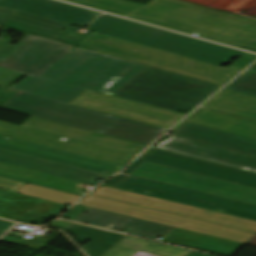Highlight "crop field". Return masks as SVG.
<instances>
[{"instance_id": "obj_1", "label": "crop field", "mask_w": 256, "mask_h": 256, "mask_svg": "<svg viewBox=\"0 0 256 256\" xmlns=\"http://www.w3.org/2000/svg\"><path fill=\"white\" fill-rule=\"evenodd\" d=\"M45 40L0 41V67L29 74L1 108L149 145L166 129L68 105L87 89L115 94L147 66Z\"/></svg>"}, {"instance_id": "obj_2", "label": "crop field", "mask_w": 256, "mask_h": 256, "mask_svg": "<svg viewBox=\"0 0 256 256\" xmlns=\"http://www.w3.org/2000/svg\"><path fill=\"white\" fill-rule=\"evenodd\" d=\"M186 34L256 51V21L184 0H66Z\"/></svg>"}, {"instance_id": "obj_3", "label": "crop field", "mask_w": 256, "mask_h": 256, "mask_svg": "<svg viewBox=\"0 0 256 256\" xmlns=\"http://www.w3.org/2000/svg\"><path fill=\"white\" fill-rule=\"evenodd\" d=\"M220 86L148 67L114 96L171 110L195 108Z\"/></svg>"}, {"instance_id": "obj_4", "label": "crop field", "mask_w": 256, "mask_h": 256, "mask_svg": "<svg viewBox=\"0 0 256 256\" xmlns=\"http://www.w3.org/2000/svg\"><path fill=\"white\" fill-rule=\"evenodd\" d=\"M87 30L152 46L217 65L226 64L235 55L242 56L245 54L244 52L106 15L98 18Z\"/></svg>"}, {"instance_id": "obj_5", "label": "crop field", "mask_w": 256, "mask_h": 256, "mask_svg": "<svg viewBox=\"0 0 256 256\" xmlns=\"http://www.w3.org/2000/svg\"><path fill=\"white\" fill-rule=\"evenodd\" d=\"M81 43L95 51L219 85L238 73L217 65L97 33H92Z\"/></svg>"}, {"instance_id": "obj_6", "label": "crop field", "mask_w": 256, "mask_h": 256, "mask_svg": "<svg viewBox=\"0 0 256 256\" xmlns=\"http://www.w3.org/2000/svg\"><path fill=\"white\" fill-rule=\"evenodd\" d=\"M78 205L126 215L166 226L179 227L246 244L255 234L186 219L90 195Z\"/></svg>"}, {"instance_id": "obj_7", "label": "crop field", "mask_w": 256, "mask_h": 256, "mask_svg": "<svg viewBox=\"0 0 256 256\" xmlns=\"http://www.w3.org/2000/svg\"><path fill=\"white\" fill-rule=\"evenodd\" d=\"M116 187L166 200L256 220L255 206L189 191L133 176H128ZM145 191H150V193H146ZM218 209H222V211H219Z\"/></svg>"}, {"instance_id": "obj_8", "label": "crop field", "mask_w": 256, "mask_h": 256, "mask_svg": "<svg viewBox=\"0 0 256 256\" xmlns=\"http://www.w3.org/2000/svg\"><path fill=\"white\" fill-rule=\"evenodd\" d=\"M92 195L256 234V221L137 195L103 186Z\"/></svg>"}, {"instance_id": "obj_9", "label": "crop field", "mask_w": 256, "mask_h": 256, "mask_svg": "<svg viewBox=\"0 0 256 256\" xmlns=\"http://www.w3.org/2000/svg\"><path fill=\"white\" fill-rule=\"evenodd\" d=\"M131 175L256 204V190L254 189L229 184L159 165L144 163Z\"/></svg>"}, {"instance_id": "obj_10", "label": "crop field", "mask_w": 256, "mask_h": 256, "mask_svg": "<svg viewBox=\"0 0 256 256\" xmlns=\"http://www.w3.org/2000/svg\"><path fill=\"white\" fill-rule=\"evenodd\" d=\"M123 173L130 175L144 162L160 164L256 189V174L150 147Z\"/></svg>"}, {"instance_id": "obj_11", "label": "crop field", "mask_w": 256, "mask_h": 256, "mask_svg": "<svg viewBox=\"0 0 256 256\" xmlns=\"http://www.w3.org/2000/svg\"><path fill=\"white\" fill-rule=\"evenodd\" d=\"M70 105L169 129L184 114L174 113L87 90Z\"/></svg>"}, {"instance_id": "obj_12", "label": "crop field", "mask_w": 256, "mask_h": 256, "mask_svg": "<svg viewBox=\"0 0 256 256\" xmlns=\"http://www.w3.org/2000/svg\"><path fill=\"white\" fill-rule=\"evenodd\" d=\"M0 135L13 137L44 146L68 151L71 153L95 158L98 160L118 164L124 166L131 161L135 156L83 144L77 141L68 139L67 141H61V137L5 124L0 122Z\"/></svg>"}, {"instance_id": "obj_13", "label": "crop field", "mask_w": 256, "mask_h": 256, "mask_svg": "<svg viewBox=\"0 0 256 256\" xmlns=\"http://www.w3.org/2000/svg\"><path fill=\"white\" fill-rule=\"evenodd\" d=\"M0 22H3V26L74 45L92 33L91 31L85 34L79 33L77 32L79 28L75 26L4 8H0ZM44 27L50 28L52 31L46 30Z\"/></svg>"}, {"instance_id": "obj_14", "label": "crop field", "mask_w": 256, "mask_h": 256, "mask_svg": "<svg viewBox=\"0 0 256 256\" xmlns=\"http://www.w3.org/2000/svg\"><path fill=\"white\" fill-rule=\"evenodd\" d=\"M0 148L109 176L122 168V166L98 161L95 159L71 154L68 152L44 147L41 145L17 139L7 140L3 136H0Z\"/></svg>"}, {"instance_id": "obj_15", "label": "crop field", "mask_w": 256, "mask_h": 256, "mask_svg": "<svg viewBox=\"0 0 256 256\" xmlns=\"http://www.w3.org/2000/svg\"><path fill=\"white\" fill-rule=\"evenodd\" d=\"M22 127L137 156L147 145L30 117Z\"/></svg>"}, {"instance_id": "obj_16", "label": "crop field", "mask_w": 256, "mask_h": 256, "mask_svg": "<svg viewBox=\"0 0 256 256\" xmlns=\"http://www.w3.org/2000/svg\"><path fill=\"white\" fill-rule=\"evenodd\" d=\"M0 5L78 26H87L99 15V13L53 0H0Z\"/></svg>"}, {"instance_id": "obj_17", "label": "crop field", "mask_w": 256, "mask_h": 256, "mask_svg": "<svg viewBox=\"0 0 256 256\" xmlns=\"http://www.w3.org/2000/svg\"><path fill=\"white\" fill-rule=\"evenodd\" d=\"M156 147L256 173V158L243 154L176 137L165 140Z\"/></svg>"}, {"instance_id": "obj_18", "label": "crop field", "mask_w": 256, "mask_h": 256, "mask_svg": "<svg viewBox=\"0 0 256 256\" xmlns=\"http://www.w3.org/2000/svg\"><path fill=\"white\" fill-rule=\"evenodd\" d=\"M73 221H78L90 225L114 228V230H121L127 228V233L140 235L156 239L162 238L171 227H166L126 216H121L113 213L99 211L91 208H87L81 214H79Z\"/></svg>"}, {"instance_id": "obj_19", "label": "crop field", "mask_w": 256, "mask_h": 256, "mask_svg": "<svg viewBox=\"0 0 256 256\" xmlns=\"http://www.w3.org/2000/svg\"><path fill=\"white\" fill-rule=\"evenodd\" d=\"M0 162L37 170L64 178L84 182L87 184L97 185L99 183L95 182L97 179L101 178L106 180L109 176L5 151L0 149Z\"/></svg>"}, {"instance_id": "obj_20", "label": "crop field", "mask_w": 256, "mask_h": 256, "mask_svg": "<svg viewBox=\"0 0 256 256\" xmlns=\"http://www.w3.org/2000/svg\"><path fill=\"white\" fill-rule=\"evenodd\" d=\"M174 136L256 156V140L192 125H182Z\"/></svg>"}, {"instance_id": "obj_21", "label": "crop field", "mask_w": 256, "mask_h": 256, "mask_svg": "<svg viewBox=\"0 0 256 256\" xmlns=\"http://www.w3.org/2000/svg\"><path fill=\"white\" fill-rule=\"evenodd\" d=\"M161 241L224 256H232L241 247L244 246L243 244L218 239L178 228L173 230Z\"/></svg>"}, {"instance_id": "obj_22", "label": "crop field", "mask_w": 256, "mask_h": 256, "mask_svg": "<svg viewBox=\"0 0 256 256\" xmlns=\"http://www.w3.org/2000/svg\"><path fill=\"white\" fill-rule=\"evenodd\" d=\"M59 204L0 190V218L17 222L27 211L48 214Z\"/></svg>"}, {"instance_id": "obj_23", "label": "crop field", "mask_w": 256, "mask_h": 256, "mask_svg": "<svg viewBox=\"0 0 256 256\" xmlns=\"http://www.w3.org/2000/svg\"><path fill=\"white\" fill-rule=\"evenodd\" d=\"M202 107L256 121V97L241 93L223 89Z\"/></svg>"}, {"instance_id": "obj_24", "label": "crop field", "mask_w": 256, "mask_h": 256, "mask_svg": "<svg viewBox=\"0 0 256 256\" xmlns=\"http://www.w3.org/2000/svg\"><path fill=\"white\" fill-rule=\"evenodd\" d=\"M188 122L256 139V123L241 120L210 110H202Z\"/></svg>"}, {"instance_id": "obj_25", "label": "crop field", "mask_w": 256, "mask_h": 256, "mask_svg": "<svg viewBox=\"0 0 256 256\" xmlns=\"http://www.w3.org/2000/svg\"><path fill=\"white\" fill-rule=\"evenodd\" d=\"M0 174L76 194H85V192H82L85 188L81 187L83 183L4 163H0Z\"/></svg>"}, {"instance_id": "obj_26", "label": "crop field", "mask_w": 256, "mask_h": 256, "mask_svg": "<svg viewBox=\"0 0 256 256\" xmlns=\"http://www.w3.org/2000/svg\"><path fill=\"white\" fill-rule=\"evenodd\" d=\"M137 251H144L160 256H184L189 252L188 250L126 236L103 256H132Z\"/></svg>"}, {"instance_id": "obj_27", "label": "crop field", "mask_w": 256, "mask_h": 256, "mask_svg": "<svg viewBox=\"0 0 256 256\" xmlns=\"http://www.w3.org/2000/svg\"><path fill=\"white\" fill-rule=\"evenodd\" d=\"M66 229L76 237L92 240L82 248L89 256H101L125 237V235L105 232L76 223Z\"/></svg>"}, {"instance_id": "obj_28", "label": "crop field", "mask_w": 256, "mask_h": 256, "mask_svg": "<svg viewBox=\"0 0 256 256\" xmlns=\"http://www.w3.org/2000/svg\"><path fill=\"white\" fill-rule=\"evenodd\" d=\"M17 193L29 195L32 197L44 199L47 201L63 204V205H72L80 196L36 186L33 184H28L22 187ZM78 201V200H77ZM74 204V203H73Z\"/></svg>"}, {"instance_id": "obj_29", "label": "crop field", "mask_w": 256, "mask_h": 256, "mask_svg": "<svg viewBox=\"0 0 256 256\" xmlns=\"http://www.w3.org/2000/svg\"><path fill=\"white\" fill-rule=\"evenodd\" d=\"M225 89L256 96V71L248 69Z\"/></svg>"}, {"instance_id": "obj_30", "label": "crop field", "mask_w": 256, "mask_h": 256, "mask_svg": "<svg viewBox=\"0 0 256 256\" xmlns=\"http://www.w3.org/2000/svg\"><path fill=\"white\" fill-rule=\"evenodd\" d=\"M25 184L26 182L0 176V189L16 192Z\"/></svg>"}, {"instance_id": "obj_31", "label": "crop field", "mask_w": 256, "mask_h": 256, "mask_svg": "<svg viewBox=\"0 0 256 256\" xmlns=\"http://www.w3.org/2000/svg\"><path fill=\"white\" fill-rule=\"evenodd\" d=\"M255 59H256L255 55H251V54L246 53L245 55H243L240 59H238L235 63H233L228 68L241 71L247 65H249L251 62H253Z\"/></svg>"}, {"instance_id": "obj_32", "label": "crop field", "mask_w": 256, "mask_h": 256, "mask_svg": "<svg viewBox=\"0 0 256 256\" xmlns=\"http://www.w3.org/2000/svg\"><path fill=\"white\" fill-rule=\"evenodd\" d=\"M14 225L15 223L0 220V238Z\"/></svg>"}, {"instance_id": "obj_33", "label": "crop field", "mask_w": 256, "mask_h": 256, "mask_svg": "<svg viewBox=\"0 0 256 256\" xmlns=\"http://www.w3.org/2000/svg\"><path fill=\"white\" fill-rule=\"evenodd\" d=\"M84 209H86V207H82V206H78L76 205L74 208H72L67 216H64L65 218H70L73 219L74 217H76L79 213H81Z\"/></svg>"}, {"instance_id": "obj_34", "label": "crop field", "mask_w": 256, "mask_h": 256, "mask_svg": "<svg viewBox=\"0 0 256 256\" xmlns=\"http://www.w3.org/2000/svg\"><path fill=\"white\" fill-rule=\"evenodd\" d=\"M126 175H119L112 179L110 182H108L106 185L115 187L117 184H119L124 178H126Z\"/></svg>"}, {"instance_id": "obj_35", "label": "crop field", "mask_w": 256, "mask_h": 256, "mask_svg": "<svg viewBox=\"0 0 256 256\" xmlns=\"http://www.w3.org/2000/svg\"><path fill=\"white\" fill-rule=\"evenodd\" d=\"M203 108H199L196 112H194L192 115H190L188 118H186L184 121H182L179 125H177L173 131H176L183 123L187 122L191 117H193L195 114H197L199 111H201Z\"/></svg>"}, {"instance_id": "obj_36", "label": "crop field", "mask_w": 256, "mask_h": 256, "mask_svg": "<svg viewBox=\"0 0 256 256\" xmlns=\"http://www.w3.org/2000/svg\"><path fill=\"white\" fill-rule=\"evenodd\" d=\"M186 256H210V255H206V254H202V253H198V252H194L191 251L189 254H187Z\"/></svg>"}, {"instance_id": "obj_37", "label": "crop field", "mask_w": 256, "mask_h": 256, "mask_svg": "<svg viewBox=\"0 0 256 256\" xmlns=\"http://www.w3.org/2000/svg\"><path fill=\"white\" fill-rule=\"evenodd\" d=\"M134 256H156V255H152V254L142 252V253H139V254L136 253Z\"/></svg>"}, {"instance_id": "obj_38", "label": "crop field", "mask_w": 256, "mask_h": 256, "mask_svg": "<svg viewBox=\"0 0 256 256\" xmlns=\"http://www.w3.org/2000/svg\"><path fill=\"white\" fill-rule=\"evenodd\" d=\"M248 245H252V246H256V237L253 238L249 243H247Z\"/></svg>"}, {"instance_id": "obj_39", "label": "crop field", "mask_w": 256, "mask_h": 256, "mask_svg": "<svg viewBox=\"0 0 256 256\" xmlns=\"http://www.w3.org/2000/svg\"><path fill=\"white\" fill-rule=\"evenodd\" d=\"M250 69L256 70V64H254Z\"/></svg>"}]
</instances>
